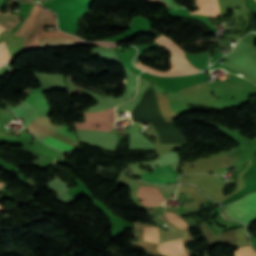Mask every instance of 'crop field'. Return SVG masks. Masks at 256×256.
<instances>
[{"instance_id":"13","label":"crop field","mask_w":256,"mask_h":256,"mask_svg":"<svg viewBox=\"0 0 256 256\" xmlns=\"http://www.w3.org/2000/svg\"><path fill=\"white\" fill-rule=\"evenodd\" d=\"M256 253V252H255ZM250 246L239 248L235 251V256H256Z\"/></svg>"},{"instance_id":"1","label":"crop field","mask_w":256,"mask_h":256,"mask_svg":"<svg viewBox=\"0 0 256 256\" xmlns=\"http://www.w3.org/2000/svg\"><path fill=\"white\" fill-rule=\"evenodd\" d=\"M43 26H55L53 13L34 4L28 19L18 29L16 34L26 37L24 50L41 43L83 41L72 35L57 31L43 32Z\"/></svg>"},{"instance_id":"10","label":"crop field","mask_w":256,"mask_h":256,"mask_svg":"<svg viewBox=\"0 0 256 256\" xmlns=\"http://www.w3.org/2000/svg\"><path fill=\"white\" fill-rule=\"evenodd\" d=\"M144 240L158 243V228H155V227L144 228Z\"/></svg>"},{"instance_id":"11","label":"crop field","mask_w":256,"mask_h":256,"mask_svg":"<svg viewBox=\"0 0 256 256\" xmlns=\"http://www.w3.org/2000/svg\"><path fill=\"white\" fill-rule=\"evenodd\" d=\"M11 57L9 55L8 49L5 42L0 44V66L10 61Z\"/></svg>"},{"instance_id":"8","label":"crop field","mask_w":256,"mask_h":256,"mask_svg":"<svg viewBox=\"0 0 256 256\" xmlns=\"http://www.w3.org/2000/svg\"><path fill=\"white\" fill-rule=\"evenodd\" d=\"M100 125V127H96L97 125ZM115 122H83V123H76V128L81 129H92V130H103L108 131L109 129L114 127Z\"/></svg>"},{"instance_id":"18","label":"crop field","mask_w":256,"mask_h":256,"mask_svg":"<svg viewBox=\"0 0 256 256\" xmlns=\"http://www.w3.org/2000/svg\"><path fill=\"white\" fill-rule=\"evenodd\" d=\"M2 184H3V183H0V188H1Z\"/></svg>"},{"instance_id":"14","label":"crop field","mask_w":256,"mask_h":256,"mask_svg":"<svg viewBox=\"0 0 256 256\" xmlns=\"http://www.w3.org/2000/svg\"><path fill=\"white\" fill-rule=\"evenodd\" d=\"M139 198L164 199L163 195H138Z\"/></svg>"},{"instance_id":"17","label":"crop field","mask_w":256,"mask_h":256,"mask_svg":"<svg viewBox=\"0 0 256 256\" xmlns=\"http://www.w3.org/2000/svg\"><path fill=\"white\" fill-rule=\"evenodd\" d=\"M0 210H6V209H5V208H1V207H0Z\"/></svg>"},{"instance_id":"3","label":"crop field","mask_w":256,"mask_h":256,"mask_svg":"<svg viewBox=\"0 0 256 256\" xmlns=\"http://www.w3.org/2000/svg\"><path fill=\"white\" fill-rule=\"evenodd\" d=\"M224 215L230 219L240 220L246 225L256 221V193L224 206Z\"/></svg>"},{"instance_id":"15","label":"crop field","mask_w":256,"mask_h":256,"mask_svg":"<svg viewBox=\"0 0 256 256\" xmlns=\"http://www.w3.org/2000/svg\"><path fill=\"white\" fill-rule=\"evenodd\" d=\"M151 1H154L156 3H159V4H163V5H166V6H169L165 1L163 0H151Z\"/></svg>"},{"instance_id":"6","label":"crop field","mask_w":256,"mask_h":256,"mask_svg":"<svg viewBox=\"0 0 256 256\" xmlns=\"http://www.w3.org/2000/svg\"><path fill=\"white\" fill-rule=\"evenodd\" d=\"M31 91L33 94H31L24 101L33 106L39 115H48L50 108L47 105L45 97L42 95V89L34 88L31 89Z\"/></svg>"},{"instance_id":"16","label":"crop field","mask_w":256,"mask_h":256,"mask_svg":"<svg viewBox=\"0 0 256 256\" xmlns=\"http://www.w3.org/2000/svg\"><path fill=\"white\" fill-rule=\"evenodd\" d=\"M9 2H33L32 0H12Z\"/></svg>"},{"instance_id":"12","label":"crop field","mask_w":256,"mask_h":256,"mask_svg":"<svg viewBox=\"0 0 256 256\" xmlns=\"http://www.w3.org/2000/svg\"><path fill=\"white\" fill-rule=\"evenodd\" d=\"M166 217L168 218V220L172 221L174 224L181 228L188 227L186 223L174 213L166 212Z\"/></svg>"},{"instance_id":"4","label":"crop field","mask_w":256,"mask_h":256,"mask_svg":"<svg viewBox=\"0 0 256 256\" xmlns=\"http://www.w3.org/2000/svg\"><path fill=\"white\" fill-rule=\"evenodd\" d=\"M33 122L41 125V126H44L54 132H57L65 137H68L76 142L77 139H76V136L74 133H71V132H67L70 128L67 127V126H60V127H57V126H54L48 119L47 117H44V116H38L36 117L35 119L32 120ZM29 130H31L35 135H37L41 140H43L45 143L55 147V148H58V149H62L64 151H70L72 150L74 147L68 145V144H65L61 141H58L44 133H41L39 131H36V130H33L31 128H29Z\"/></svg>"},{"instance_id":"19","label":"crop field","mask_w":256,"mask_h":256,"mask_svg":"<svg viewBox=\"0 0 256 256\" xmlns=\"http://www.w3.org/2000/svg\"><path fill=\"white\" fill-rule=\"evenodd\" d=\"M27 143V142H26ZM32 145V144H31Z\"/></svg>"},{"instance_id":"7","label":"crop field","mask_w":256,"mask_h":256,"mask_svg":"<svg viewBox=\"0 0 256 256\" xmlns=\"http://www.w3.org/2000/svg\"><path fill=\"white\" fill-rule=\"evenodd\" d=\"M182 240H174V241H170L164 244H161L157 247L158 251L162 252V251H166V250H170V249H174V248H178V247H182ZM163 254L167 255V256H187L186 251L182 248H178V249H174V250H170V251H166V252H162Z\"/></svg>"},{"instance_id":"5","label":"crop field","mask_w":256,"mask_h":256,"mask_svg":"<svg viewBox=\"0 0 256 256\" xmlns=\"http://www.w3.org/2000/svg\"><path fill=\"white\" fill-rule=\"evenodd\" d=\"M177 176L178 175L171 171L169 165H167L163 168L153 170L152 173L141 175V179L154 183L166 184L177 182Z\"/></svg>"},{"instance_id":"9","label":"crop field","mask_w":256,"mask_h":256,"mask_svg":"<svg viewBox=\"0 0 256 256\" xmlns=\"http://www.w3.org/2000/svg\"><path fill=\"white\" fill-rule=\"evenodd\" d=\"M11 5L8 7V12L5 14L0 13V26L10 30L18 21L17 16H12L9 13V9L11 8Z\"/></svg>"},{"instance_id":"2","label":"crop field","mask_w":256,"mask_h":256,"mask_svg":"<svg viewBox=\"0 0 256 256\" xmlns=\"http://www.w3.org/2000/svg\"><path fill=\"white\" fill-rule=\"evenodd\" d=\"M155 41L158 42L162 47L169 49L171 51V58H170L171 69L165 72H161V71L146 67L143 64H141L139 61L136 66H138L143 70H146L158 75H182V74H189V73L200 71L194 68L192 65H190L187 62V60L184 57L183 51L174 42L169 40L167 37L163 35Z\"/></svg>"}]
</instances>
